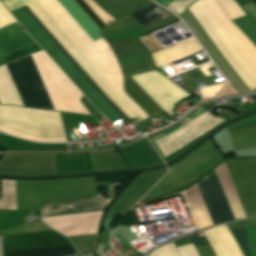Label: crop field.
<instances>
[{"label":"crop field","instance_id":"5","mask_svg":"<svg viewBox=\"0 0 256 256\" xmlns=\"http://www.w3.org/2000/svg\"><path fill=\"white\" fill-rule=\"evenodd\" d=\"M223 120L201 113L190 122L154 142L164 157L197 140Z\"/></svg>","mask_w":256,"mask_h":256},{"label":"crop field","instance_id":"19","mask_svg":"<svg viewBox=\"0 0 256 256\" xmlns=\"http://www.w3.org/2000/svg\"><path fill=\"white\" fill-rule=\"evenodd\" d=\"M155 2H157V3H159V4H161V5H163V6H165L168 10H170L171 12H173V13H175V14H177V15H181L184 11H185V9L187 8V6L190 4V3H192L193 1H195V0H167V1H165V0H154ZM163 1H165V2H163ZM165 3L166 5H168V6H170L171 8H173L174 10H176V11H178L179 13H181V14H179L178 12H176V11H174L173 9H171L170 7H168V6H166L165 4H163V3ZM164 7V8H165Z\"/></svg>","mask_w":256,"mask_h":256},{"label":"crop field","instance_id":"15","mask_svg":"<svg viewBox=\"0 0 256 256\" xmlns=\"http://www.w3.org/2000/svg\"><path fill=\"white\" fill-rule=\"evenodd\" d=\"M247 229H248V235H249L252 256H256V229L249 228V227H247ZM247 229H246V227L235 228V229H231V232H232L235 240L237 241L243 255L251 256L248 235H247Z\"/></svg>","mask_w":256,"mask_h":256},{"label":"crop field","instance_id":"1","mask_svg":"<svg viewBox=\"0 0 256 256\" xmlns=\"http://www.w3.org/2000/svg\"><path fill=\"white\" fill-rule=\"evenodd\" d=\"M23 8L43 29V31L52 39V41L60 48V50L69 58V60L77 67V69L86 77V79L94 86V88L103 96V98L111 105V107L120 115V117L123 120H127L124 117V115L115 107V105L107 98V96L98 88V86L89 78V76L81 69V67L64 50V48L38 21V19L29 11V9L26 6H23ZM23 8L20 7L12 11V13L30 32V34L35 38V40L40 44V46L45 50V52L50 56V58L69 77V79L85 95V97L92 103V105L97 110H99L111 123L120 120L121 118L119 117V115L110 107V105L93 88V86L76 69V67L59 50V48L51 41V39L42 31V29L34 22V20L25 12Z\"/></svg>","mask_w":256,"mask_h":256},{"label":"crop field","instance_id":"4","mask_svg":"<svg viewBox=\"0 0 256 256\" xmlns=\"http://www.w3.org/2000/svg\"><path fill=\"white\" fill-rule=\"evenodd\" d=\"M6 66L24 106L54 110L31 55Z\"/></svg>","mask_w":256,"mask_h":256},{"label":"crop field","instance_id":"13","mask_svg":"<svg viewBox=\"0 0 256 256\" xmlns=\"http://www.w3.org/2000/svg\"><path fill=\"white\" fill-rule=\"evenodd\" d=\"M214 171L227 199L234 219L236 220L246 217L235 192L236 189L232 183V180L227 172L224 163L220 164L217 168L214 169Z\"/></svg>","mask_w":256,"mask_h":256},{"label":"crop field","instance_id":"9","mask_svg":"<svg viewBox=\"0 0 256 256\" xmlns=\"http://www.w3.org/2000/svg\"><path fill=\"white\" fill-rule=\"evenodd\" d=\"M197 185L215 224L233 220L214 173L210 174Z\"/></svg>","mask_w":256,"mask_h":256},{"label":"crop field","instance_id":"10","mask_svg":"<svg viewBox=\"0 0 256 256\" xmlns=\"http://www.w3.org/2000/svg\"><path fill=\"white\" fill-rule=\"evenodd\" d=\"M139 39L152 54L157 67L202 50L194 38L185 40L167 50L151 34Z\"/></svg>","mask_w":256,"mask_h":256},{"label":"crop field","instance_id":"18","mask_svg":"<svg viewBox=\"0 0 256 256\" xmlns=\"http://www.w3.org/2000/svg\"><path fill=\"white\" fill-rule=\"evenodd\" d=\"M2 193L0 208L16 210L15 181H2Z\"/></svg>","mask_w":256,"mask_h":256},{"label":"crop field","instance_id":"16","mask_svg":"<svg viewBox=\"0 0 256 256\" xmlns=\"http://www.w3.org/2000/svg\"><path fill=\"white\" fill-rule=\"evenodd\" d=\"M130 15L145 27L171 14L152 3Z\"/></svg>","mask_w":256,"mask_h":256},{"label":"crop field","instance_id":"11","mask_svg":"<svg viewBox=\"0 0 256 256\" xmlns=\"http://www.w3.org/2000/svg\"><path fill=\"white\" fill-rule=\"evenodd\" d=\"M180 192L197 229L214 225L196 183Z\"/></svg>","mask_w":256,"mask_h":256},{"label":"crop field","instance_id":"2","mask_svg":"<svg viewBox=\"0 0 256 256\" xmlns=\"http://www.w3.org/2000/svg\"><path fill=\"white\" fill-rule=\"evenodd\" d=\"M188 9L244 84L250 91L255 90L256 73L220 28L211 14L207 11L201 1L198 0L193 2Z\"/></svg>","mask_w":256,"mask_h":256},{"label":"crop field","instance_id":"17","mask_svg":"<svg viewBox=\"0 0 256 256\" xmlns=\"http://www.w3.org/2000/svg\"><path fill=\"white\" fill-rule=\"evenodd\" d=\"M230 137H238L256 133V127L228 132ZM235 149L256 146V134L231 139Z\"/></svg>","mask_w":256,"mask_h":256},{"label":"crop field","instance_id":"8","mask_svg":"<svg viewBox=\"0 0 256 256\" xmlns=\"http://www.w3.org/2000/svg\"><path fill=\"white\" fill-rule=\"evenodd\" d=\"M111 200L97 196L41 202V215L55 216L104 210Z\"/></svg>","mask_w":256,"mask_h":256},{"label":"crop field","instance_id":"12","mask_svg":"<svg viewBox=\"0 0 256 256\" xmlns=\"http://www.w3.org/2000/svg\"><path fill=\"white\" fill-rule=\"evenodd\" d=\"M203 232L217 256H242L226 225Z\"/></svg>","mask_w":256,"mask_h":256},{"label":"crop field","instance_id":"6","mask_svg":"<svg viewBox=\"0 0 256 256\" xmlns=\"http://www.w3.org/2000/svg\"><path fill=\"white\" fill-rule=\"evenodd\" d=\"M132 78L169 116L174 114L169 108L189 96L156 71L132 76Z\"/></svg>","mask_w":256,"mask_h":256},{"label":"crop field","instance_id":"7","mask_svg":"<svg viewBox=\"0 0 256 256\" xmlns=\"http://www.w3.org/2000/svg\"><path fill=\"white\" fill-rule=\"evenodd\" d=\"M38 50L41 48L18 23L0 30V65Z\"/></svg>","mask_w":256,"mask_h":256},{"label":"crop field","instance_id":"20","mask_svg":"<svg viewBox=\"0 0 256 256\" xmlns=\"http://www.w3.org/2000/svg\"><path fill=\"white\" fill-rule=\"evenodd\" d=\"M149 256H180V254L172 243L155 249Z\"/></svg>","mask_w":256,"mask_h":256},{"label":"crop field","instance_id":"3","mask_svg":"<svg viewBox=\"0 0 256 256\" xmlns=\"http://www.w3.org/2000/svg\"><path fill=\"white\" fill-rule=\"evenodd\" d=\"M3 256H62L77 252L69 240L49 230L2 237Z\"/></svg>","mask_w":256,"mask_h":256},{"label":"crop field","instance_id":"21","mask_svg":"<svg viewBox=\"0 0 256 256\" xmlns=\"http://www.w3.org/2000/svg\"><path fill=\"white\" fill-rule=\"evenodd\" d=\"M82 10L89 16V18L96 24V26L101 29L104 25L100 22V20L93 14V12L86 6V4L82 0H74Z\"/></svg>","mask_w":256,"mask_h":256},{"label":"crop field","instance_id":"23","mask_svg":"<svg viewBox=\"0 0 256 256\" xmlns=\"http://www.w3.org/2000/svg\"><path fill=\"white\" fill-rule=\"evenodd\" d=\"M250 1H252L253 3H255V4H256V0H250Z\"/></svg>","mask_w":256,"mask_h":256},{"label":"crop field","instance_id":"14","mask_svg":"<svg viewBox=\"0 0 256 256\" xmlns=\"http://www.w3.org/2000/svg\"><path fill=\"white\" fill-rule=\"evenodd\" d=\"M124 91L149 117L163 112L130 77L124 79Z\"/></svg>","mask_w":256,"mask_h":256},{"label":"crop field","instance_id":"22","mask_svg":"<svg viewBox=\"0 0 256 256\" xmlns=\"http://www.w3.org/2000/svg\"><path fill=\"white\" fill-rule=\"evenodd\" d=\"M242 7L247 10L254 18H256V6L253 3L250 2Z\"/></svg>","mask_w":256,"mask_h":256}]
</instances>
